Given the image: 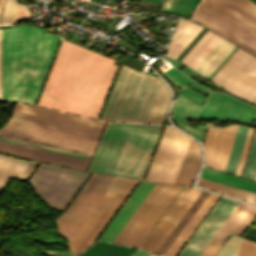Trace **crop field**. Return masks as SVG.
Returning a JSON list of instances; mask_svg holds the SVG:
<instances>
[{"label": "crop field", "instance_id": "crop-field-1", "mask_svg": "<svg viewBox=\"0 0 256 256\" xmlns=\"http://www.w3.org/2000/svg\"><path fill=\"white\" fill-rule=\"evenodd\" d=\"M62 41L37 105L97 119L118 66Z\"/></svg>", "mask_w": 256, "mask_h": 256}, {"label": "crop field", "instance_id": "crop-field-2", "mask_svg": "<svg viewBox=\"0 0 256 256\" xmlns=\"http://www.w3.org/2000/svg\"><path fill=\"white\" fill-rule=\"evenodd\" d=\"M24 24L0 29L1 100L33 104L60 36Z\"/></svg>", "mask_w": 256, "mask_h": 256}, {"label": "crop field", "instance_id": "crop-field-3", "mask_svg": "<svg viewBox=\"0 0 256 256\" xmlns=\"http://www.w3.org/2000/svg\"><path fill=\"white\" fill-rule=\"evenodd\" d=\"M161 130L108 123L88 171L141 179Z\"/></svg>", "mask_w": 256, "mask_h": 256}, {"label": "crop field", "instance_id": "crop-field-4", "mask_svg": "<svg viewBox=\"0 0 256 256\" xmlns=\"http://www.w3.org/2000/svg\"><path fill=\"white\" fill-rule=\"evenodd\" d=\"M169 103L162 80L123 65L101 120L162 125Z\"/></svg>", "mask_w": 256, "mask_h": 256}, {"label": "crop field", "instance_id": "crop-field-5", "mask_svg": "<svg viewBox=\"0 0 256 256\" xmlns=\"http://www.w3.org/2000/svg\"><path fill=\"white\" fill-rule=\"evenodd\" d=\"M162 75L183 90L174 101L171 112L172 120L180 129L200 140H202L204 133L195 128L188 127L187 121L218 119L250 124L256 113L255 107L239 102L227 95L213 92H210L203 106L202 103L206 97L186 85L206 95L209 91L197 85L173 67Z\"/></svg>", "mask_w": 256, "mask_h": 256}, {"label": "crop field", "instance_id": "crop-field-6", "mask_svg": "<svg viewBox=\"0 0 256 256\" xmlns=\"http://www.w3.org/2000/svg\"><path fill=\"white\" fill-rule=\"evenodd\" d=\"M89 175L41 163L28 183L43 201L63 211Z\"/></svg>", "mask_w": 256, "mask_h": 256}, {"label": "crop field", "instance_id": "crop-field-7", "mask_svg": "<svg viewBox=\"0 0 256 256\" xmlns=\"http://www.w3.org/2000/svg\"><path fill=\"white\" fill-rule=\"evenodd\" d=\"M191 138L167 127L145 180L173 184Z\"/></svg>", "mask_w": 256, "mask_h": 256}, {"label": "crop field", "instance_id": "crop-field-8", "mask_svg": "<svg viewBox=\"0 0 256 256\" xmlns=\"http://www.w3.org/2000/svg\"><path fill=\"white\" fill-rule=\"evenodd\" d=\"M115 179L93 174L64 214L56 220L59 234L70 240Z\"/></svg>", "mask_w": 256, "mask_h": 256}, {"label": "crop field", "instance_id": "crop-field-9", "mask_svg": "<svg viewBox=\"0 0 256 256\" xmlns=\"http://www.w3.org/2000/svg\"><path fill=\"white\" fill-rule=\"evenodd\" d=\"M210 80L252 101L256 97V58L238 48Z\"/></svg>", "mask_w": 256, "mask_h": 256}, {"label": "crop field", "instance_id": "crop-field-10", "mask_svg": "<svg viewBox=\"0 0 256 256\" xmlns=\"http://www.w3.org/2000/svg\"><path fill=\"white\" fill-rule=\"evenodd\" d=\"M1 135L91 154L97 141L9 121Z\"/></svg>", "mask_w": 256, "mask_h": 256}, {"label": "crop field", "instance_id": "crop-field-11", "mask_svg": "<svg viewBox=\"0 0 256 256\" xmlns=\"http://www.w3.org/2000/svg\"><path fill=\"white\" fill-rule=\"evenodd\" d=\"M200 193V190L184 187L153 227L140 249L156 253Z\"/></svg>", "mask_w": 256, "mask_h": 256}, {"label": "crop field", "instance_id": "crop-field-12", "mask_svg": "<svg viewBox=\"0 0 256 256\" xmlns=\"http://www.w3.org/2000/svg\"><path fill=\"white\" fill-rule=\"evenodd\" d=\"M237 204V201L221 197L179 256H199Z\"/></svg>", "mask_w": 256, "mask_h": 256}, {"label": "crop field", "instance_id": "crop-field-13", "mask_svg": "<svg viewBox=\"0 0 256 256\" xmlns=\"http://www.w3.org/2000/svg\"><path fill=\"white\" fill-rule=\"evenodd\" d=\"M194 20L256 55V36L205 5L198 6Z\"/></svg>", "mask_w": 256, "mask_h": 256}, {"label": "crop field", "instance_id": "crop-field-14", "mask_svg": "<svg viewBox=\"0 0 256 256\" xmlns=\"http://www.w3.org/2000/svg\"><path fill=\"white\" fill-rule=\"evenodd\" d=\"M237 127L233 125L223 129L208 128L204 144L206 151L205 165L225 170Z\"/></svg>", "mask_w": 256, "mask_h": 256}, {"label": "crop field", "instance_id": "crop-field-15", "mask_svg": "<svg viewBox=\"0 0 256 256\" xmlns=\"http://www.w3.org/2000/svg\"><path fill=\"white\" fill-rule=\"evenodd\" d=\"M255 216L256 208L239 202L200 256H214L231 232L241 235Z\"/></svg>", "mask_w": 256, "mask_h": 256}, {"label": "crop field", "instance_id": "crop-field-16", "mask_svg": "<svg viewBox=\"0 0 256 256\" xmlns=\"http://www.w3.org/2000/svg\"><path fill=\"white\" fill-rule=\"evenodd\" d=\"M203 4L256 34V5L248 0H202Z\"/></svg>", "mask_w": 256, "mask_h": 256}, {"label": "crop field", "instance_id": "crop-field-17", "mask_svg": "<svg viewBox=\"0 0 256 256\" xmlns=\"http://www.w3.org/2000/svg\"><path fill=\"white\" fill-rule=\"evenodd\" d=\"M0 152L85 171L89 161L0 141Z\"/></svg>", "mask_w": 256, "mask_h": 256}, {"label": "crop field", "instance_id": "crop-field-18", "mask_svg": "<svg viewBox=\"0 0 256 256\" xmlns=\"http://www.w3.org/2000/svg\"><path fill=\"white\" fill-rule=\"evenodd\" d=\"M11 121L20 122L24 124H29L37 127H42L46 129H51L55 131H60L64 133H69L77 136H82L91 139H98L100 134L99 129L85 127L81 125H76L72 123H67L63 121L53 120L49 118H44L40 116H35L31 114L21 113L15 111L12 117L10 118Z\"/></svg>", "mask_w": 256, "mask_h": 256}, {"label": "crop field", "instance_id": "crop-field-19", "mask_svg": "<svg viewBox=\"0 0 256 256\" xmlns=\"http://www.w3.org/2000/svg\"><path fill=\"white\" fill-rule=\"evenodd\" d=\"M154 184L155 183L153 182L141 181V183L138 185V187L135 189V191L132 193V195L129 197L126 203L123 205L121 210L118 212V214L109 224V226L100 236V239L112 242V240L121 230V228L130 218V216L133 214V212L136 210V208L139 206V204L142 202V200L154 186Z\"/></svg>", "mask_w": 256, "mask_h": 256}, {"label": "crop field", "instance_id": "crop-field-20", "mask_svg": "<svg viewBox=\"0 0 256 256\" xmlns=\"http://www.w3.org/2000/svg\"><path fill=\"white\" fill-rule=\"evenodd\" d=\"M167 187L168 185L166 184L156 183V185L153 187V189L150 191V193L147 195V197L117 235V237L114 239V243L123 245L126 244L127 240L130 238V236L133 234V232L136 230V228L139 226V224L142 222V220L145 218V216L148 214L150 209L153 207V205L156 203V201Z\"/></svg>", "mask_w": 256, "mask_h": 256}, {"label": "crop field", "instance_id": "crop-field-21", "mask_svg": "<svg viewBox=\"0 0 256 256\" xmlns=\"http://www.w3.org/2000/svg\"><path fill=\"white\" fill-rule=\"evenodd\" d=\"M181 188L182 187L180 186L169 185V187L158 200L151 212L140 225L138 230L127 243V245L135 247L139 246V244L142 242V240L145 238V236L148 234V232L151 230V228L154 226V224L157 222V220L160 218V216L163 214V212L181 190Z\"/></svg>", "mask_w": 256, "mask_h": 256}, {"label": "crop field", "instance_id": "crop-field-22", "mask_svg": "<svg viewBox=\"0 0 256 256\" xmlns=\"http://www.w3.org/2000/svg\"><path fill=\"white\" fill-rule=\"evenodd\" d=\"M126 181H127V179L117 178V180L114 182V184L108 190V192L105 194V196L102 198V200L98 203V205L95 207V209L92 211V213L88 216V218L85 220V222L82 224V226L78 229V231L75 233V235L69 241V243L67 245L70 247V249L73 252L77 248V246L80 244V242L83 240V238L86 236V234L89 232V230L92 228V226L95 224V222L98 220L100 215L103 213V211L106 209V207L109 205V203L112 201V199L115 197V195L118 193V191L121 189V187L124 185V183Z\"/></svg>", "mask_w": 256, "mask_h": 256}, {"label": "crop field", "instance_id": "crop-field-23", "mask_svg": "<svg viewBox=\"0 0 256 256\" xmlns=\"http://www.w3.org/2000/svg\"><path fill=\"white\" fill-rule=\"evenodd\" d=\"M136 182H137L136 180L128 179V181L125 183V185L119 191V193L116 195V197L110 203V205L107 207V209L104 211L102 216L99 218V220L96 222V224L93 226V228L90 230V232L87 234V236L84 238V240L81 242V244L78 246V248L75 250L74 253L77 254L91 245L94 238L97 236V234L103 228V226L106 224V222L112 216V214L115 212V210L118 208V206L124 200V198L130 192V190L133 188V186L136 184Z\"/></svg>", "mask_w": 256, "mask_h": 256}, {"label": "crop field", "instance_id": "crop-field-24", "mask_svg": "<svg viewBox=\"0 0 256 256\" xmlns=\"http://www.w3.org/2000/svg\"><path fill=\"white\" fill-rule=\"evenodd\" d=\"M202 28L193 21L180 18L166 55L175 59Z\"/></svg>", "mask_w": 256, "mask_h": 256}, {"label": "crop field", "instance_id": "crop-field-25", "mask_svg": "<svg viewBox=\"0 0 256 256\" xmlns=\"http://www.w3.org/2000/svg\"><path fill=\"white\" fill-rule=\"evenodd\" d=\"M218 197L219 195L210 193L205 202L195 212V214L192 216V218L189 220V222L186 224V226L183 228V230L180 232V234L177 236V238L165 252L164 256H175L177 254V252L186 242L188 237L191 235V233L194 231V229L197 227V225L200 223V221L203 219V217L206 215V213L218 199Z\"/></svg>", "mask_w": 256, "mask_h": 256}, {"label": "crop field", "instance_id": "crop-field-26", "mask_svg": "<svg viewBox=\"0 0 256 256\" xmlns=\"http://www.w3.org/2000/svg\"><path fill=\"white\" fill-rule=\"evenodd\" d=\"M36 165L35 161H21L0 155V194L10 175L26 180Z\"/></svg>", "mask_w": 256, "mask_h": 256}, {"label": "crop field", "instance_id": "crop-field-27", "mask_svg": "<svg viewBox=\"0 0 256 256\" xmlns=\"http://www.w3.org/2000/svg\"><path fill=\"white\" fill-rule=\"evenodd\" d=\"M222 39L223 38L208 30L195 44V46L185 55L181 62L195 70Z\"/></svg>", "mask_w": 256, "mask_h": 256}, {"label": "crop field", "instance_id": "crop-field-28", "mask_svg": "<svg viewBox=\"0 0 256 256\" xmlns=\"http://www.w3.org/2000/svg\"><path fill=\"white\" fill-rule=\"evenodd\" d=\"M200 161V146L192 139L174 184L190 186Z\"/></svg>", "mask_w": 256, "mask_h": 256}, {"label": "crop field", "instance_id": "crop-field-29", "mask_svg": "<svg viewBox=\"0 0 256 256\" xmlns=\"http://www.w3.org/2000/svg\"><path fill=\"white\" fill-rule=\"evenodd\" d=\"M15 110L21 111V112H26V113H31V114H35V115H40V116H44V117H49V118H53V119L63 120V121H67V122H72V123H76V124H81V125H85V126L95 127V128H99V129L102 128V125L104 123L101 121H96V120H92V119L82 118V117H78V116L68 115V114H64V113L54 112V111L40 109V108H36V107H31V106H26V105H22V104H18Z\"/></svg>", "mask_w": 256, "mask_h": 256}, {"label": "crop field", "instance_id": "crop-field-30", "mask_svg": "<svg viewBox=\"0 0 256 256\" xmlns=\"http://www.w3.org/2000/svg\"><path fill=\"white\" fill-rule=\"evenodd\" d=\"M234 47V44L223 39L195 71L208 78Z\"/></svg>", "mask_w": 256, "mask_h": 256}, {"label": "crop field", "instance_id": "crop-field-31", "mask_svg": "<svg viewBox=\"0 0 256 256\" xmlns=\"http://www.w3.org/2000/svg\"><path fill=\"white\" fill-rule=\"evenodd\" d=\"M201 178L213 180L216 182H220L227 185H231V186L256 192V183L226 174L224 172L213 170L210 168L203 167Z\"/></svg>", "mask_w": 256, "mask_h": 256}, {"label": "crop field", "instance_id": "crop-field-32", "mask_svg": "<svg viewBox=\"0 0 256 256\" xmlns=\"http://www.w3.org/2000/svg\"><path fill=\"white\" fill-rule=\"evenodd\" d=\"M199 181L202 186L212 191L219 192L232 197L240 198L256 205V193L231 187V186H227L224 184L216 183L213 181L201 179V178L199 179Z\"/></svg>", "mask_w": 256, "mask_h": 256}, {"label": "crop field", "instance_id": "crop-field-33", "mask_svg": "<svg viewBox=\"0 0 256 256\" xmlns=\"http://www.w3.org/2000/svg\"><path fill=\"white\" fill-rule=\"evenodd\" d=\"M208 195V192L202 191L198 199L187 211V213L184 215V217L181 219V221L178 223V225L175 227V229L157 251V254L163 255V253L166 251V249L169 247V245L172 243V241L175 239V237L178 235V233L181 231V229L184 227V225L187 223V221L190 219V217L194 214V212L198 209V207L202 204V202L206 199Z\"/></svg>", "mask_w": 256, "mask_h": 256}, {"label": "crop field", "instance_id": "crop-field-34", "mask_svg": "<svg viewBox=\"0 0 256 256\" xmlns=\"http://www.w3.org/2000/svg\"><path fill=\"white\" fill-rule=\"evenodd\" d=\"M246 127H238L237 134L234 140V144L230 153V157L227 163L226 172L235 173V169L238 163V159L241 153V149L244 143V139L247 133Z\"/></svg>", "mask_w": 256, "mask_h": 256}, {"label": "crop field", "instance_id": "crop-field-35", "mask_svg": "<svg viewBox=\"0 0 256 256\" xmlns=\"http://www.w3.org/2000/svg\"><path fill=\"white\" fill-rule=\"evenodd\" d=\"M198 0H165L161 9L172 14L188 16Z\"/></svg>", "mask_w": 256, "mask_h": 256}, {"label": "crop field", "instance_id": "crop-field-36", "mask_svg": "<svg viewBox=\"0 0 256 256\" xmlns=\"http://www.w3.org/2000/svg\"><path fill=\"white\" fill-rule=\"evenodd\" d=\"M0 140L15 143V144H20V145H24V146H29V147H33V148H38V149H42V150H47V151H51V152H56V153H60V154H65V155H69V156H74V157H78V158H83V159H87V160H89L91 157L89 155H84V154H80V153L70 152V151H66V150L56 149V148H52V147L42 146V145H38V144L28 143V142L14 140V139L5 138V137H0Z\"/></svg>", "mask_w": 256, "mask_h": 256}, {"label": "crop field", "instance_id": "crop-field-37", "mask_svg": "<svg viewBox=\"0 0 256 256\" xmlns=\"http://www.w3.org/2000/svg\"><path fill=\"white\" fill-rule=\"evenodd\" d=\"M256 172V131L251 145L250 153L244 170V177L254 178Z\"/></svg>", "mask_w": 256, "mask_h": 256}, {"label": "crop field", "instance_id": "crop-field-38", "mask_svg": "<svg viewBox=\"0 0 256 256\" xmlns=\"http://www.w3.org/2000/svg\"><path fill=\"white\" fill-rule=\"evenodd\" d=\"M241 241L242 238L232 234L216 256H233Z\"/></svg>", "mask_w": 256, "mask_h": 256}, {"label": "crop field", "instance_id": "crop-field-39", "mask_svg": "<svg viewBox=\"0 0 256 256\" xmlns=\"http://www.w3.org/2000/svg\"><path fill=\"white\" fill-rule=\"evenodd\" d=\"M234 256H256V243L243 239Z\"/></svg>", "mask_w": 256, "mask_h": 256}, {"label": "crop field", "instance_id": "crop-field-40", "mask_svg": "<svg viewBox=\"0 0 256 256\" xmlns=\"http://www.w3.org/2000/svg\"><path fill=\"white\" fill-rule=\"evenodd\" d=\"M17 0H3V5H5L1 23L10 22L12 23L13 14L18 6L16 4Z\"/></svg>", "mask_w": 256, "mask_h": 256}, {"label": "crop field", "instance_id": "crop-field-41", "mask_svg": "<svg viewBox=\"0 0 256 256\" xmlns=\"http://www.w3.org/2000/svg\"><path fill=\"white\" fill-rule=\"evenodd\" d=\"M253 130L254 129H251V128L248 129V133H247L245 143H244V146H243V149H242V153H241V156H240V159H239V163H238V166H237V169H236V173H235L236 175H239V176L241 175V171H242L243 164H244V161H245V158H246V154H247L248 147H249V144H250V140H251V137H252V134H253Z\"/></svg>", "mask_w": 256, "mask_h": 256}, {"label": "crop field", "instance_id": "crop-field-42", "mask_svg": "<svg viewBox=\"0 0 256 256\" xmlns=\"http://www.w3.org/2000/svg\"><path fill=\"white\" fill-rule=\"evenodd\" d=\"M28 18H29V11L27 7L20 4L14 14L13 23L24 20V19H28Z\"/></svg>", "mask_w": 256, "mask_h": 256}, {"label": "crop field", "instance_id": "crop-field-43", "mask_svg": "<svg viewBox=\"0 0 256 256\" xmlns=\"http://www.w3.org/2000/svg\"><path fill=\"white\" fill-rule=\"evenodd\" d=\"M48 256H74L68 253H63V252H57V251H49Z\"/></svg>", "mask_w": 256, "mask_h": 256}, {"label": "crop field", "instance_id": "crop-field-44", "mask_svg": "<svg viewBox=\"0 0 256 256\" xmlns=\"http://www.w3.org/2000/svg\"><path fill=\"white\" fill-rule=\"evenodd\" d=\"M149 253L146 252H142V251H135L133 254H131L130 256H147Z\"/></svg>", "mask_w": 256, "mask_h": 256}, {"label": "crop field", "instance_id": "crop-field-45", "mask_svg": "<svg viewBox=\"0 0 256 256\" xmlns=\"http://www.w3.org/2000/svg\"><path fill=\"white\" fill-rule=\"evenodd\" d=\"M2 0H0V8H1Z\"/></svg>", "mask_w": 256, "mask_h": 256}, {"label": "crop field", "instance_id": "crop-field-46", "mask_svg": "<svg viewBox=\"0 0 256 256\" xmlns=\"http://www.w3.org/2000/svg\"><path fill=\"white\" fill-rule=\"evenodd\" d=\"M149 256H156V255L151 254V255H149Z\"/></svg>", "mask_w": 256, "mask_h": 256}, {"label": "crop field", "instance_id": "crop-field-47", "mask_svg": "<svg viewBox=\"0 0 256 256\" xmlns=\"http://www.w3.org/2000/svg\"><path fill=\"white\" fill-rule=\"evenodd\" d=\"M255 180H256V176H255V178H254Z\"/></svg>", "mask_w": 256, "mask_h": 256}, {"label": "crop field", "instance_id": "crop-field-48", "mask_svg": "<svg viewBox=\"0 0 256 256\" xmlns=\"http://www.w3.org/2000/svg\"><path fill=\"white\" fill-rule=\"evenodd\" d=\"M254 102H256V99L254 100Z\"/></svg>", "mask_w": 256, "mask_h": 256}, {"label": "crop field", "instance_id": "crop-field-49", "mask_svg": "<svg viewBox=\"0 0 256 256\" xmlns=\"http://www.w3.org/2000/svg\"><path fill=\"white\" fill-rule=\"evenodd\" d=\"M248 180V179H247ZM251 181V180H250ZM255 182V181H254Z\"/></svg>", "mask_w": 256, "mask_h": 256}, {"label": "crop field", "instance_id": "crop-field-50", "mask_svg": "<svg viewBox=\"0 0 256 256\" xmlns=\"http://www.w3.org/2000/svg\"><path fill=\"white\" fill-rule=\"evenodd\" d=\"M255 222H256V220H255Z\"/></svg>", "mask_w": 256, "mask_h": 256}]
</instances>
